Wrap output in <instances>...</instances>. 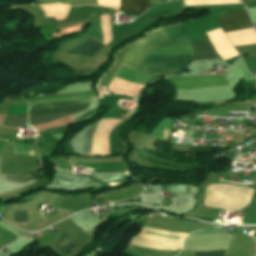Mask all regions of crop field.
<instances>
[{"label": "crop field", "instance_id": "obj_16", "mask_svg": "<svg viewBox=\"0 0 256 256\" xmlns=\"http://www.w3.org/2000/svg\"><path fill=\"white\" fill-rule=\"evenodd\" d=\"M226 250L211 252H194V256H223Z\"/></svg>", "mask_w": 256, "mask_h": 256}, {"label": "crop field", "instance_id": "obj_5", "mask_svg": "<svg viewBox=\"0 0 256 256\" xmlns=\"http://www.w3.org/2000/svg\"><path fill=\"white\" fill-rule=\"evenodd\" d=\"M177 89H195L201 87H212L227 84L223 75L195 77V78H169Z\"/></svg>", "mask_w": 256, "mask_h": 256}, {"label": "crop field", "instance_id": "obj_9", "mask_svg": "<svg viewBox=\"0 0 256 256\" xmlns=\"http://www.w3.org/2000/svg\"><path fill=\"white\" fill-rule=\"evenodd\" d=\"M120 9L142 13L148 10L147 0H121Z\"/></svg>", "mask_w": 256, "mask_h": 256}, {"label": "crop field", "instance_id": "obj_7", "mask_svg": "<svg viewBox=\"0 0 256 256\" xmlns=\"http://www.w3.org/2000/svg\"><path fill=\"white\" fill-rule=\"evenodd\" d=\"M14 150L16 154L29 155V150L33 151V145L14 143ZM30 155H34V152L30 151ZM16 157L18 165H35L34 156L16 155Z\"/></svg>", "mask_w": 256, "mask_h": 256}, {"label": "crop field", "instance_id": "obj_1", "mask_svg": "<svg viewBox=\"0 0 256 256\" xmlns=\"http://www.w3.org/2000/svg\"><path fill=\"white\" fill-rule=\"evenodd\" d=\"M171 40L159 46H191V41L182 24L163 28ZM193 54L192 47H156L148 55H184ZM192 55L184 56H147L145 59L143 71L148 74H169L181 75L187 67ZM138 73L132 69L121 67L116 78L140 83L146 85L149 81L158 75H148ZM114 79L109 89L114 92L127 95H136L144 85ZM137 96H133L136 98Z\"/></svg>", "mask_w": 256, "mask_h": 256}, {"label": "crop field", "instance_id": "obj_14", "mask_svg": "<svg viewBox=\"0 0 256 256\" xmlns=\"http://www.w3.org/2000/svg\"><path fill=\"white\" fill-rule=\"evenodd\" d=\"M14 222H28L27 211L14 212Z\"/></svg>", "mask_w": 256, "mask_h": 256}, {"label": "crop field", "instance_id": "obj_13", "mask_svg": "<svg viewBox=\"0 0 256 256\" xmlns=\"http://www.w3.org/2000/svg\"><path fill=\"white\" fill-rule=\"evenodd\" d=\"M96 179L100 180L101 182H109V181H116L122 179V174H112V175H92Z\"/></svg>", "mask_w": 256, "mask_h": 256}, {"label": "crop field", "instance_id": "obj_4", "mask_svg": "<svg viewBox=\"0 0 256 256\" xmlns=\"http://www.w3.org/2000/svg\"><path fill=\"white\" fill-rule=\"evenodd\" d=\"M215 20L224 33L253 27L245 10L227 12Z\"/></svg>", "mask_w": 256, "mask_h": 256}, {"label": "crop field", "instance_id": "obj_3", "mask_svg": "<svg viewBox=\"0 0 256 256\" xmlns=\"http://www.w3.org/2000/svg\"><path fill=\"white\" fill-rule=\"evenodd\" d=\"M121 120L117 119H106L100 120L99 124L97 123L88 127L86 138H85V150L84 155L91 156V149H92V139H93V149H92V156H108L109 155V147H108V135L112 127L118 124Z\"/></svg>", "mask_w": 256, "mask_h": 256}, {"label": "crop field", "instance_id": "obj_18", "mask_svg": "<svg viewBox=\"0 0 256 256\" xmlns=\"http://www.w3.org/2000/svg\"><path fill=\"white\" fill-rule=\"evenodd\" d=\"M243 2L253 1V0H242Z\"/></svg>", "mask_w": 256, "mask_h": 256}, {"label": "crop field", "instance_id": "obj_11", "mask_svg": "<svg viewBox=\"0 0 256 256\" xmlns=\"http://www.w3.org/2000/svg\"><path fill=\"white\" fill-rule=\"evenodd\" d=\"M58 184H72V185H91V186H100L97 183L93 182L89 178L76 177L64 174L59 180Z\"/></svg>", "mask_w": 256, "mask_h": 256}, {"label": "crop field", "instance_id": "obj_12", "mask_svg": "<svg viewBox=\"0 0 256 256\" xmlns=\"http://www.w3.org/2000/svg\"><path fill=\"white\" fill-rule=\"evenodd\" d=\"M27 120V115H6L3 125L20 126Z\"/></svg>", "mask_w": 256, "mask_h": 256}, {"label": "crop field", "instance_id": "obj_8", "mask_svg": "<svg viewBox=\"0 0 256 256\" xmlns=\"http://www.w3.org/2000/svg\"><path fill=\"white\" fill-rule=\"evenodd\" d=\"M102 47L103 45L93 42L91 40H88L78 45L77 47L71 49L67 53H75V54L83 55L85 57H92Z\"/></svg>", "mask_w": 256, "mask_h": 256}, {"label": "crop field", "instance_id": "obj_6", "mask_svg": "<svg viewBox=\"0 0 256 256\" xmlns=\"http://www.w3.org/2000/svg\"><path fill=\"white\" fill-rule=\"evenodd\" d=\"M192 44L194 55L191 61L219 58L209 39L194 41Z\"/></svg>", "mask_w": 256, "mask_h": 256}, {"label": "crop field", "instance_id": "obj_15", "mask_svg": "<svg viewBox=\"0 0 256 256\" xmlns=\"http://www.w3.org/2000/svg\"><path fill=\"white\" fill-rule=\"evenodd\" d=\"M187 186L180 185H167V191L176 192V193H186Z\"/></svg>", "mask_w": 256, "mask_h": 256}, {"label": "crop field", "instance_id": "obj_2", "mask_svg": "<svg viewBox=\"0 0 256 256\" xmlns=\"http://www.w3.org/2000/svg\"><path fill=\"white\" fill-rule=\"evenodd\" d=\"M78 105H90L89 97L74 100V101H62V102L37 104V105L32 106L30 108V110L56 108V107H67V106H78ZM87 107H89V106L35 110V111H29V116L80 112V111L86 109ZM72 114H75V113L29 117V123L31 125L45 123V122L56 120V119H59V118L65 117V116L72 115Z\"/></svg>", "mask_w": 256, "mask_h": 256}, {"label": "crop field", "instance_id": "obj_17", "mask_svg": "<svg viewBox=\"0 0 256 256\" xmlns=\"http://www.w3.org/2000/svg\"><path fill=\"white\" fill-rule=\"evenodd\" d=\"M162 186H151L147 190H145L144 193H149V192H156V191H162Z\"/></svg>", "mask_w": 256, "mask_h": 256}, {"label": "crop field", "instance_id": "obj_10", "mask_svg": "<svg viewBox=\"0 0 256 256\" xmlns=\"http://www.w3.org/2000/svg\"><path fill=\"white\" fill-rule=\"evenodd\" d=\"M75 241L76 239L65 232L53 249L62 256H67Z\"/></svg>", "mask_w": 256, "mask_h": 256}]
</instances>
